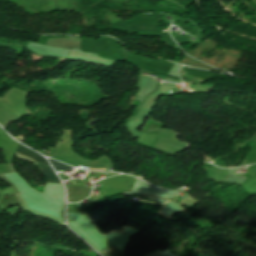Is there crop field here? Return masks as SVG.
<instances>
[{"label":"crop field","instance_id":"8a807250","mask_svg":"<svg viewBox=\"0 0 256 256\" xmlns=\"http://www.w3.org/2000/svg\"><path fill=\"white\" fill-rule=\"evenodd\" d=\"M17 152L22 154V155H24V156H26V157H28V158H30V159H32V160H34V161H36V162H38V163L49 165L44 158H42L41 156H39L38 154H36L32 150H30V149H28V148H26V147H24V146H22L20 144L18 146Z\"/></svg>","mask_w":256,"mask_h":256},{"label":"crop field","instance_id":"34b2d1b8","mask_svg":"<svg viewBox=\"0 0 256 256\" xmlns=\"http://www.w3.org/2000/svg\"><path fill=\"white\" fill-rule=\"evenodd\" d=\"M54 166L55 170H71L69 166L48 159Z\"/></svg>","mask_w":256,"mask_h":256},{"label":"crop field","instance_id":"ac0d7876","mask_svg":"<svg viewBox=\"0 0 256 256\" xmlns=\"http://www.w3.org/2000/svg\"><path fill=\"white\" fill-rule=\"evenodd\" d=\"M37 165L39 166V168L42 171V173L47 177L48 182L61 184L60 180L54 174V172L51 169V167L40 165V164H37Z\"/></svg>","mask_w":256,"mask_h":256},{"label":"crop field","instance_id":"412701ff","mask_svg":"<svg viewBox=\"0 0 256 256\" xmlns=\"http://www.w3.org/2000/svg\"><path fill=\"white\" fill-rule=\"evenodd\" d=\"M90 170H106V169H90Z\"/></svg>","mask_w":256,"mask_h":256}]
</instances>
